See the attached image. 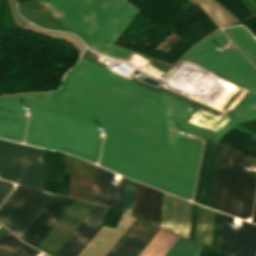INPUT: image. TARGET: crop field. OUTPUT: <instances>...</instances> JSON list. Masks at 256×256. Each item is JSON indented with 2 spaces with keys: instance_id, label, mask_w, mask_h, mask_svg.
Here are the masks:
<instances>
[{
  "instance_id": "8a807250",
  "label": "crop field",
  "mask_w": 256,
  "mask_h": 256,
  "mask_svg": "<svg viewBox=\"0 0 256 256\" xmlns=\"http://www.w3.org/2000/svg\"><path fill=\"white\" fill-rule=\"evenodd\" d=\"M256 66V40L242 26L225 29ZM219 30L187 52L188 59L254 91L236 116L217 134L185 120L196 110L169 95L139 87L81 57L66 73L58 92L0 97V138L66 152L184 199H191L202 142L182 131L219 143L239 123L256 118V68Z\"/></svg>"
},
{
  "instance_id": "ac0d7876",
  "label": "crop field",
  "mask_w": 256,
  "mask_h": 256,
  "mask_svg": "<svg viewBox=\"0 0 256 256\" xmlns=\"http://www.w3.org/2000/svg\"><path fill=\"white\" fill-rule=\"evenodd\" d=\"M39 1L87 45L119 58H126L131 53L113 45L139 12L127 0Z\"/></svg>"
},
{
  "instance_id": "34b2d1b8",
  "label": "crop field",
  "mask_w": 256,
  "mask_h": 256,
  "mask_svg": "<svg viewBox=\"0 0 256 256\" xmlns=\"http://www.w3.org/2000/svg\"><path fill=\"white\" fill-rule=\"evenodd\" d=\"M247 157L220 147L210 208L245 219L251 216L256 173L244 172Z\"/></svg>"
},
{
  "instance_id": "412701ff",
  "label": "crop field",
  "mask_w": 256,
  "mask_h": 256,
  "mask_svg": "<svg viewBox=\"0 0 256 256\" xmlns=\"http://www.w3.org/2000/svg\"><path fill=\"white\" fill-rule=\"evenodd\" d=\"M44 150L0 140V177L42 190Z\"/></svg>"
},
{
  "instance_id": "f4fd0767",
  "label": "crop field",
  "mask_w": 256,
  "mask_h": 256,
  "mask_svg": "<svg viewBox=\"0 0 256 256\" xmlns=\"http://www.w3.org/2000/svg\"><path fill=\"white\" fill-rule=\"evenodd\" d=\"M74 201L55 195L19 238L36 247Z\"/></svg>"
},
{
  "instance_id": "dd49c442",
  "label": "crop field",
  "mask_w": 256,
  "mask_h": 256,
  "mask_svg": "<svg viewBox=\"0 0 256 256\" xmlns=\"http://www.w3.org/2000/svg\"><path fill=\"white\" fill-rule=\"evenodd\" d=\"M232 216L224 214L220 252L227 256H253L256 249V225L243 221L242 230L230 234Z\"/></svg>"
},
{
  "instance_id": "e52e79f7",
  "label": "crop field",
  "mask_w": 256,
  "mask_h": 256,
  "mask_svg": "<svg viewBox=\"0 0 256 256\" xmlns=\"http://www.w3.org/2000/svg\"><path fill=\"white\" fill-rule=\"evenodd\" d=\"M109 208L96 205L54 256H75L101 225Z\"/></svg>"
},
{
  "instance_id": "d8731c3e",
  "label": "crop field",
  "mask_w": 256,
  "mask_h": 256,
  "mask_svg": "<svg viewBox=\"0 0 256 256\" xmlns=\"http://www.w3.org/2000/svg\"><path fill=\"white\" fill-rule=\"evenodd\" d=\"M191 203L164 192L161 227L188 238Z\"/></svg>"
},
{
  "instance_id": "5a996713",
  "label": "crop field",
  "mask_w": 256,
  "mask_h": 256,
  "mask_svg": "<svg viewBox=\"0 0 256 256\" xmlns=\"http://www.w3.org/2000/svg\"><path fill=\"white\" fill-rule=\"evenodd\" d=\"M112 179V172L96 166L93 202L123 211L126 179L119 186H112Z\"/></svg>"
},
{
  "instance_id": "3316defc",
  "label": "crop field",
  "mask_w": 256,
  "mask_h": 256,
  "mask_svg": "<svg viewBox=\"0 0 256 256\" xmlns=\"http://www.w3.org/2000/svg\"><path fill=\"white\" fill-rule=\"evenodd\" d=\"M219 144H216L212 141L206 139L198 184L194 196V202L205 205L208 207L218 152H219Z\"/></svg>"
},
{
  "instance_id": "28ad6ade",
  "label": "crop field",
  "mask_w": 256,
  "mask_h": 256,
  "mask_svg": "<svg viewBox=\"0 0 256 256\" xmlns=\"http://www.w3.org/2000/svg\"><path fill=\"white\" fill-rule=\"evenodd\" d=\"M134 220L124 213L116 229L102 226L78 256H105Z\"/></svg>"
},
{
  "instance_id": "d1516ede",
  "label": "crop field",
  "mask_w": 256,
  "mask_h": 256,
  "mask_svg": "<svg viewBox=\"0 0 256 256\" xmlns=\"http://www.w3.org/2000/svg\"><path fill=\"white\" fill-rule=\"evenodd\" d=\"M160 197V191L135 182L132 215L158 226Z\"/></svg>"
},
{
  "instance_id": "22f410ed",
  "label": "crop field",
  "mask_w": 256,
  "mask_h": 256,
  "mask_svg": "<svg viewBox=\"0 0 256 256\" xmlns=\"http://www.w3.org/2000/svg\"><path fill=\"white\" fill-rule=\"evenodd\" d=\"M39 192L40 190L19 185L0 207V221L10 229Z\"/></svg>"
},
{
  "instance_id": "cbeb9de0",
  "label": "crop field",
  "mask_w": 256,
  "mask_h": 256,
  "mask_svg": "<svg viewBox=\"0 0 256 256\" xmlns=\"http://www.w3.org/2000/svg\"><path fill=\"white\" fill-rule=\"evenodd\" d=\"M52 197V194L41 191L10 230L19 237Z\"/></svg>"
},
{
  "instance_id": "5142ce71",
  "label": "crop field",
  "mask_w": 256,
  "mask_h": 256,
  "mask_svg": "<svg viewBox=\"0 0 256 256\" xmlns=\"http://www.w3.org/2000/svg\"><path fill=\"white\" fill-rule=\"evenodd\" d=\"M215 211L199 205L196 242L212 248Z\"/></svg>"
},
{
  "instance_id": "d9b57169",
  "label": "crop field",
  "mask_w": 256,
  "mask_h": 256,
  "mask_svg": "<svg viewBox=\"0 0 256 256\" xmlns=\"http://www.w3.org/2000/svg\"><path fill=\"white\" fill-rule=\"evenodd\" d=\"M148 242L124 233L106 256H138Z\"/></svg>"
},
{
  "instance_id": "733c2abd",
  "label": "crop field",
  "mask_w": 256,
  "mask_h": 256,
  "mask_svg": "<svg viewBox=\"0 0 256 256\" xmlns=\"http://www.w3.org/2000/svg\"><path fill=\"white\" fill-rule=\"evenodd\" d=\"M172 234L161 229L139 256H164L179 238Z\"/></svg>"
},
{
  "instance_id": "4a817a6b",
  "label": "crop field",
  "mask_w": 256,
  "mask_h": 256,
  "mask_svg": "<svg viewBox=\"0 0 256 256\" xmlns=\"http://www.w3.org/2000/svg\"><path fill=\"white\" fill-rule=\"evenodd\" d=\"M204 10L220 27L239 22L225 7L216 0H197Z\"/></svg>"
},
{
  "instance_id": "bc2a9ffb",
  "label": "crop field",
  "mask_w": 256,
  "mask_h": 256,
  "mask_svg": "<svg viewBox=\"0 0 256 256\" xmlns=\"http://www.w3.org/2000/svg\"><path fill=\"white\" fill-rule=\"evenodd\" d=\"M12 234L9 232L0 239V256H22L32 248Z\"/></svg>"
},
{
  "instance_id": "214f88e0",
  "label": "crop field",
  "mask_w": 256,
  "mask_h": 256,
  "mask_svg": "<svg viewBox=\"0 0 256 256\" xmlns=\"http://www.w3.org/2000/svg\"><path fill=\"white\" fill-rule=\"evenodd\" d=\"M223 214L216 211L213 250L219 252Z\"/></svg>"
},
{
  "instance_id": "92a150f3",
  "label": "crop field",
  "mask_w": 256,
  "mask_h": 256,
  "mask_svg": "<svg viewBox=\"0 0 256 256\" xmlns=\"http://www.w3.org/2000/svg\"><path fill=\"white\" fill-rule=\"evenodd\" d=\"M202 249V246L188 241L176 256H199Z\"/></svg>"
},
{
  "instance_id": "dafd665d",
  "label": "crop field",
  "mask_w": 256,
  "mask_h": 256,
  "mask_svg": "<svg viewBox=\"0 0 256 256\" xmlns=\"http://www.w3.org/2000/svg\"><path fill=\"white\" fill-rule=\"evenodd\" d=\"M134 181L127 179L124 211L131 214Z\"/></svg>"
},
{
  "instance_id": "00972430",
  "label": "crop field",
  "mask_w": 256,
  "mask_h": 256,
  "mask_svg": "<svg viewBox=\"0 0 256 256\" xmlns=\"http://www.w3.org/2000/svg\"><path fill=\"white\" fill-rule=\"evenodd\" d=\"M13 190V186L10 182L0 180V204Z\"/></svg>"
},
{
  "instance_id": "a9b5d70f",
  "label": "crop field",
  "mask_w": 256,
  "mask_h": 256,
  "mask_svg": "<svg viewBox=\"0 0 256 256\" xmlns=\"http://www.w3.org/2000/svg\"><path fill=\"white\" fill-rule=\"evenodd\" d=\"M186 242L187 240L180 237L165 256H175L180 251V249L185 245Z\"/></svg>"
},
{
  "instance_id": "4177f3b9",
  "label": "crop field",
  "mask_w": 256,
  "mask_h": 256,
  "mask_svg": "<svg viewBox=\"0 0 256 256\" xmlns=\"http://www.w3.org/2000/svg\"><path fill=\"white\" fill-rule=\"evenodd\" d=\"M38 250H36V249H32V250H30L28 253H26L24 256H32L33 254H35L36 252H37Z\"/></svg>"
},
{
  "instance_id": "730fd06b",
  "label": "crop field",
  "mask_w": 256,
  "mask_h": 256,
  "mask_svg": "<svg viewBox=\"0 0 256 256\" xmlns=\"http://www.w3.org/2000/svg\"><path fill=\"white\" fill-rule=\"evenodd\" d=\"M253 223H256V203H255V209H254V214H253Z\"/></svg>"
}]
</instances>
